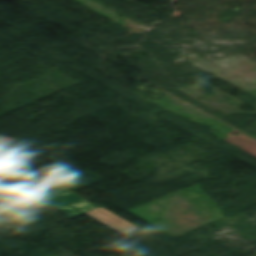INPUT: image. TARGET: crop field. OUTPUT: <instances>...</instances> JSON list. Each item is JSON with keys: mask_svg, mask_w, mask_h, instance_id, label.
<instances>
[{"mask_svg": "<svg viewBox=\"0 0 256 256\" xmlns=\"http://www.w3.org/2000/svg\"><path fill=\"white\" fill-rule=\"evenodd\" d=\"M35 193L72 217L96 209L57 183Z\"/></svg>", "mask_w": 256, "mask_h": 256, "instance_id": "8a807250", "label": "crop field"}, {"mask_svg": "<svg viewBox=\"0 0 256 256\" xmlns=\"http://www.w3.org/2000/svg\"><path fill=\"white\" fill-rule=\"evenodd\" d=\"M18 141V139L0 136V175L21 165V163L15 160L5 158V156L15 152L16 149H12V147Z\"/></svg>", "mask_w": 256, "mask_h": 256, "instance_id": "ac0d7876", "label": "crop field"}]
</instances>
